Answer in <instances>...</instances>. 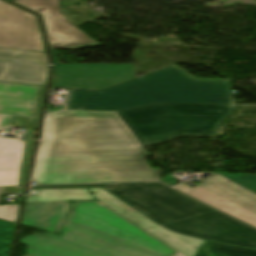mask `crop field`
Returning <instances> with one entry per match:
<instances>
[{"mask_svg": "<svg viewBox=\"0 0 256 256\" xmlns=\"http://www.w3.org/2000/svg\"><path fill=\"white\" fill-rule=\"evenodd\" d=\"M157 102L235 104L228 80H197L170 65L102 91L71 90L46 115L32 181L39 185L159 181L161 169L116 111Z\"/></svg>", "mask_w": 256, "mask_h": 256, "instance_id": "1", "label": "crop field"}, {"mask_svg": "<svg viewBox=\"0 0 256 256\" xmlns=\"http://www.w3.org/2000/svg\"><path fill=\"white\" fill-rule=\"evenodd\" d=\"M26 256H183L99 201H74L61 236L21 240Z\"/></svg>", "mask_w": 256, "mask_h": 256, "instance_id": "2", "label": "crop field"}, {"mask_svg": "<svg viewBox=\"0 0 256 256\" xmlns=\"http://www.w3.org/2000/svg\"><path fill=\"white\" fill-rule=\"evenodd\" d=\"M103 186L159 224L182 234L256 248V230L163 184ZM63 187V186H51Z\"/></svg>", "mask_w": 256, "mask_h": 256, "instance_id": "3", "label": "crop field"}, {"mask_svg": "<svg viewBox=\"0 0 256 256\" xmlns=\"http://www.w3.org/2000/svg\"><path fill=\"white\" fill-rule=\"evenodd\" d=\"M233 110L234 105L157 103L118 113L146 146L182 135L215 136Z\"/></svg>", "mask_w": 256, "mask_h": 256, "instance_id": "4", "label": "crop field"}, {"mask_svg": "<svg viewBox=\"0 0 256 256\" xmlns=\"http://www.w3.org/2000/svg\"><path fill=\"white\" fill-rule=\"evenodd\" d=\"M175 188L256 228V175L216 173Z\"/></svg>", "mask_w": 256, "mask_h": 256, "instance_id": "5", "label": "crop field"}, {"mask_svg": "<svg viewBox=\"0 0 256 256\" xmlns=\"http://www.w3.org/2000/svg\"><path fill=\"white\" fill-rule=\"evenodd\" d=\"M50 51L51 85L102 90L136 77L134 64H58L55 50Z\"/></svg>", "mask_w": 256, "mask_h": 256, "instance_id": "6", "label": "crop field"}, {"mask_svg": "<svg viewBox=\"0 0 256 256\" xmlns=\"http://www.w3.org/2000/svg\"><path fill=\"white\" fill-rule=\"evenodd\" d=\"M45 88L0 83V134L7 126L36 128Z\"/></svg>", "mask_w": 256, "mask_h": 256, "instance_id": "7", "label": "crop field"}, {"mask_svg": "<svg viewBox=\"0 0 256 256\" xmlns=\"http://www.w3.org/2000/svg\"><path fill=\"white\" fill-rule=\"evenodd\" d=\"M14 1L42 15L50 48L76 50L100 45L64 19L60 0Z\"/></svg>", "mask_w": 256, "mask_h": 256, "instance_id": "8", "label": "crop field"}, {"mask_svg": "<svg viewBox=\"0 0 256 256\" xmlns=\"http://www.w3.org/2000/svg\"><path fill=\"white\" fill-rule=\"evenodd\" d=\"M0 48L45 51L36 16L0 0Z\"/></svg>", "mask_w": 256, "mask_h": 256, "instance_id": "9", "label": "crop field"}, {"mask_svg": "<svg viewBox=\"0 0 256 256\" xmlns=\"http://www.w3.org/2000/svg\"><path fill=\"white\" fill-rule=\"evenodd\" d=\"M89 190L97 199H99V201L103 202L149 233L175 248L184 256H194L200 244L204 242L203 240L174 233L157 225L150 219L146 218L136 210L115 198L103 188H89Z\"/></svg>", "mask_w": 256, "mask_h": 256, "instance_id": "10", "label": "crop field"}, {"mask_svg": "<svg viewBox=\"0 0 256 256\" xmlns=\"http://www.w3.org/2000/svg\"><path fill=\"white\" fill-rule=\"evenodd\" d=\"M33 141L0 138V186H22Z\"/></svg>", "mask_w": 256, "mask_h": 256, "instance_id": "11", "label": "crop field"}, {"mask_svg": "<svg viewBox=\"0 0 256 256\" xmlns=\"http://www.w3.org/2000/svg\"><path fill=\"white\" fill-rule=\"evenodd\" d=\"M70 204L68 201L25 204L20 224L46 232H60Z\"/></svg>", "mask_w": 256, "mask_h": 256, "instance_id": "12", "label": "crop field"}, {"mask_svg": "<svg viewBox=\"0 0 256 256\" xmlns=\"http://www.w3.org/2000/svg\"><path fill=\"white\" fill-rule=\"evenodd\" d=\"M48 66L0 62V81L45 85Z\"/></svg>", "mask_w": 256, "mask_h": 256, "instance_id": "13", "label": "crop field"}, {"mask_svg": "<svg viewBox=\"0 0 256 256\" xmlns=\"http://www.w3.org/2000/svg\"><path fill=\"white\" fill-rule=\"evenodd\" d=\"M94 199L86 188L37 190L36 197H27L26 203L57 200H87Z\"/></svg>", "mask_w": 256, "mask_h": 256, "instance_id": "14", "label": "crop field"}, {"mask_svg": "<svg viewBox=\"0 0 256 256\" xmlns=\"http://www.w3.org/2000/svg\"><path fill=\"white\" fill-rule=\"evenodd\" d=\"M197 256H256L255 249H243L207 241Z\"/></svg>", "mask_w": 256, "mask_h": 256, "instance_id": "15", "label": "crop field"}, {"mask_svg": "<svg viewBox=\"0 0 256 256\" xmlns=\"http://www.w3.org/2000/svg\"><path fill=\"white\" fill-rule=\"evenodd\" d=\"M0 60L48 64L46 52L0 49Z\"/></svg>", "mask_w": 256, "mask_h": 256, "instance_id": "16", "label": "crop field"}, {"mask_svg": "<svg viewBox=\"0 0 256 256\" xmlns=\"http://www.w3.org/2000/svg\"><path fill=\"white\" fill-rule=\"evenodd\" d=\"M17 224L0 220V256H10Z\"/></svg>", "mask_w": 256, "mask_h": 256, "instance_id": "17", "label": "crop field"}, {"mask_svg": "<svg viewBox=\"0 0 256 256\" xmlns=\"http://www.w3.org/2000/svg\"><path fill=\"white\" fill-rule=\"evenodd\" d=\"M19 207L20 205L0 206V219L16 223Z\"/></svg>", "mask_w": 256, "mask_h": 256, "instance_id": "18", "label": "crop field"}, {"mask_svg": "<svg viewBox=\"0 0 256 256\" xmlns=\"http://www.w3.org/2000/svg\"><path fill=\"white\" fill-rule=\"evenodd\" d=\"M163 182L169 184L170 186H173V185L179 183V182L175 179V177H173V176H171V177H169V178L163 180Z\"/></svg>", "mask_w": 256, "mask_h": 256, "instance_id": "19", "label": "crop field"}, {"mask_svg": "<svg viewBox=\"0 0 256 256\" xmlns=\"http://www.w3.org/2000/svg\"><path fill=\"white\" fill-rule=\"evenodd\" d=\"M2 188H3V187H0V194H1Z\"/></svg>", "mask_w": 256, "mask_h": 256, "instance_id": "20", "label": "crop field"}]
</instances>
